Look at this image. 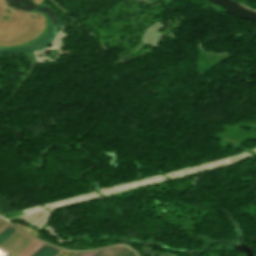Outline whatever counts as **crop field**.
Instances as JSON below:
<instances>
[{"instance_id": "d8731c3e", "label": "crop field", "mask_w": 256, "mask_h": 256, "mask_svg": "<svg viewBox=\"0 0 256 256\" xmlns=\"http://www.w3.org/2000/svg\"><path fill=\"white\" fill-rule=\"evenodd\" d=\"M96 252H98V251H96ZM96 252L85 253L83 256H93Z\"/></svg>"}, {"instance_id": "ac0d7876", "label": "crop field", "mask_w": 256, "mask_h": 256, "mask_svg": "<svg viewBox=\"0 0 256 256\" xmlns=\"http://www.w3.org/2000/svg\"><path fill=\"white\" fill-rule=\"evenodd\" d=\"M59 252H60V250L45 244L32 256H55Z\"/></svg>"}, {"instance_id": "3316defc", "label": "crop field", "mask_w": 256, "mask_h": 256, "mask_svg": "<svg viewBox=\"0 0 256 256\" xmlns=\"http://www.w3.org/2000/svg\"><path fill=\"white\" fill-rule=\"evenodd\" d=\"M135 253L130 252L129 254H127L126 256H133Z\"/></svg>"}, {"instance_id": "f4fd0767", "label": "crop field", "mask_w": 256, "mask_h": 256, "mask_svg": "<svg viewBox=\"0 0 256 256\" xmlns=\"http://www.w3.org/2000/svg\"><path fill=\"white\" fill-rule=\"evenodd\" d=\"M16 229L13 227H9L6 229L1 235H0V242H2L6 237H8L12 232H14Z\"/></svg>"}, {"instance_id": "e52e79f7", "label": "crop field", "mask_w": 256, "mask_h": 256, "mask_svg": "<svg viewBox=\"0 0 256 256\" xmlns=\"http://www.w3.org/2000/svg\"><path fill=\"white\" fill-rule=\"evenodd\" d=\"M110 248H108V249H103V250H101V251H99L97 254H95L94 256H101V255H103L107 250H109Z\"/></svg>"}, {"instance_id": "412701ff", "label": "crop field", "mask_w": 256, "mask_h": 256, "mask_svg": "<svg viewBox=\"0 0 256 256\" xmlns=\"http://www.w3.org/2000/svg\"><path fill=\"white\" fill-rule=\"evenodd\" d=\"M129 251H130L129 249L123 246H119V247L111 248L103 256H124Z\"/></svg>"}, {"instance_id": "34b2d1b8", "label": "crop field", "mask_w": 256, "mask_h": 256, "mask_svg": "<svg viewBox=\"0 0 256 256\" xmlns=\"http://www.w3.org/2000/svg\"><path fill=\"white\" fill-rule=\"evenodd\" d=\"M43 245L44 243L35 240L17 256H31L35 251H37Z\"/></svg>"}, {"instance_id": "5a996713", "label": "crop field", "mask_w": 256, "mask_h": 256, "mask_svg": "<svg viewBox=\"0 0 256 256\" xmlns=\"http://www.w3.org/2000/svg\"><path fill=\"white\" fill-rule=\"evenodd\" d=\"M85 252H82V253H75L76 255H74V256H81L82 254H84Z\"/></svg>"}, {"instance_id": "dd49c442", "label": "crop field", "mask_w": 256, "mask_h": 256, "mask_svg": "<svg viewBox=\"0 0 256 256\" xmlns=\"http://www.w3.org/2000/svg\"><path fill=\"white\" fill-rule=\"evenodd\" d=\"M10 225L5 223L4 221L0 220V233H2L6 228H8Z\"/></svg>"}, {"instance_id": "28ad6ade", "label": "crop field", "mask_w": 256, "mask_h": 256, "mask_svg": "<svg viewBox=\"0 0 256 256\" xmlns=\"http://www.w3.org/2000/svg\"><path fill=\"white\" fill-rule=\"evenodd\" d=\"M134 256H137L136 254Z\"/></svg>"}, {"instance_id": "8a807250", "label": "crop field", "mask_w": 256, "mask_h": 256, "mask_svg": "<svg viewBox=\"0 0 256 256\" xmlns=\"http://www.w3.org/2000/svg\"><path fill=\"white\" fill-rule=\"evenodd\" d=\"M33 241L34 239L16 230L8 238H6L2 243H0V247L17 255L19 252H21L25 247H27Z\"/></svg>"}]
</instances>
